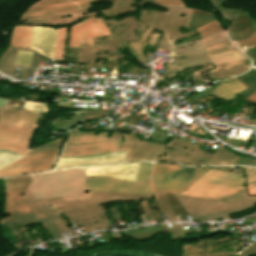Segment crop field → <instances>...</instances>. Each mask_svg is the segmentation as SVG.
I'll use <instances>...</instances> for the list:
<instances>
[{
  "label": "crop field",
  "instance_id": "1",
  "mask_svg": "<svg viewBox=\"0 0 256 256\" xmlns=\"http://www.w3.org/2000/svg\"><path fill=\"white\" fill-rule=\"evenodd\" d=\"M32 178L30 189L36 198L57 195L67 198L87 196L83 168L34 174Z\"/></svg>",
  "mask_w": 256,
  "mask_h": 256
},
{
  "label": "crop field",
  "instance_id": "2",
  "mask_svg": "<svg viewBox=\"0 0 256 256\" xmlns=\"http://www.w3.org/2000/svg\"><path fill=\"white\" fill-rule=\"evenodd\" d=\"M205 173V170L154 163L150 175V188L152 191L172 192L175 195L187 189Z\"/></svg>",
  "mask_w": 256,
  "mask_h": 256
},
{
  "label": "crop field",
  "instance_id": "3",
  "mask_svg": "<svg viewBox=\"0 0 256 256\" xmlns=\"http://www.w3.org/2000/svg\"><path fill=\"white\" fill-rule=\"evenodd\" d=\"M243 182L241 174L211 169L182 193L201 198H218L242 189Z\"/></svg>",
  "mask_w": 256,
  "mask_h": 256
},
{
  "label": "crop field",
  "instance_id": "4",
  "mask_svg": "<svg viewBox=\"0 0 256 256\" xmlns=\"http://www.w3.org/2000/svg\"><path fill=\"white\" fill-rule=\"evenodd\" d=\"M150 168L151 163H141L137 183L110 177L91 176V183L87 182V191L149 194L148 174Z\"/></svg>",
  "mask_w": 256,
  "mask_h": 256
},
{
  "label": "crop field",
  "instance_id": "5",
  "mask_svg": "<svg viewBox=\"0 0 256 256\" xmlns=\"http://www.w3.org/2000/svg\"><path fill=\"white\" fill-rule=\"evenodd\" d=\"M59 151L44 150L27 153L25 157L0 167V174L9 176L52 169Z\"/></svg>",
  "mask_w": 256,
  "mask_h": 256
},
{
  "label": "crop field",
  "instance_id": "6",
  "mask_svg": "<svg viewBox=\"0 0 256 256\" xmlns=\"http://www.w3.org/2000/svg\"><path fill=\"white\" fill-rule=\"evenodd\" d=\"M112 35L100 18H88L70 28L68 47L95 49L93 46L94 37Z\"/></svg>",
  "mask_w": 256,
  "mask_h": 256
},
{
  "label": "crop field",
  "instance_id": "7",
  "mask_svg": "<svg viewBox=\"0 0 256 256\" xmlns=\"http://www.w3.org/2000/svg\"><path fill=\"white\" fill-rule=\"evenodd\" d=\"M234 244L235 237L207 239L183 245L181 256H234Z\"/></svg>",
  "mask_w": 256,
  "mask_h": 256
},
{
  "label": "crop field",
  "instance_id": "8",
  "mask_svg": "<svg viewBox=\"0 0 256 256\" xmlns=\"http://www.w3.org/2000/svg\"><path fill=\"white\" fill-rule=\"evenodd\" d=\"M105 135L81 136L76 140L66 141L62 154L66 156L90 155L119 150L123 141L111 140L87 144L66 145V143L104 140Z\"/></svg>",
  "mask_w": 256,
  "mask_h": 256
},
{
  "label": "crop field",
  "instance_id": "9",
  "mask_svg": "<svg viewBox=\"0 0 256 256\" xmlns=\"http://www.w3.org/2000/svg\"><path fill=\"white\" fill-rule=\"evenodd\" d=\"M93 0H42L32 6L25 16L49 15L53 13L86 8Z\"/></svg>",
  "mask_w": 256,
  "mask_h": 256
},
{
  "label": "crop field",
  "instance_id": "10",
  "mask_svg": "<svg viewBox=\"0 0 256 256\" xmlns=\"http://www.w3.org/2000/svg\"><path fill=\"white\" fill-rule=\"evenodd\" d=\"M126 153L127 152H113L86 157H60L55 169L82 165L121 162L125 160Z\"/></svg>",
  "mask_w": 256,
  "mask_h": 256
},
{
  "label": "crop field",
  "instance_id": "11",
  "mask_svg": "<svg viewBox=\"0 0 256 256\" xmlns=\"http://www.w3.org/2000/svg\"><path fill=\"white\" fill-rule=\"evenodd\" d=\"M140 163L113 164L86 168L87 175L110 176L135 181Z\"/></svg>",
  "mask_w": 256,
  "mask_h": 256
},
{
  "label": "crop field",
  "instance_id": "12",
  "mask_svg": "<svg viewBox=\"0 0 256 256\" xmlns=\"http://www.w3.org/2000/svg\"><path fill=\"white\" fill-rule=\"evenodd\" d=\"M57 29L33 26L32 35L30 40V48L36 49L43 55H50L53 57ZM43 50H39V48Z\"/></svg>",
  "mask_w": 256,
  "mask_h": 256
},
{
  "label": "crop field",
  "instance_id": "13",
  "mask_svg": "<svg viewBox=\"0 0 256 256\" xmlns=\"http://www.w3.org/2000/svg\"><path fill=\"white\" fill-rule=\"evenodd\" d=\"M247 88L243 83H241L236 77L223 80L212 92L211 94L224 99L231 100L235 93Z\"/></svg>",
  "mask_w": 256,
  "mask_h": 256
},
{
  "label": "crop field",
  "instance_id": "14",
  "mask_svg": "<svg viewBox=\"0 0 256 256\" xmlns=\"http://www.w3.org/2000/svg\"><path fill=\"white\" fill-rule=\"evenodd\" d=\"M23 190L7 192L5 213L25 214L31 213L21 198Z\"/></svg>",
  "mask_w": 256,
  "mask_h": 256
},
{
  "label": "crop field",
  "instance_id": "15",
  "mask_svg": "<svg viewBox=\"0 0 256 256\" xmlns=\"http://www.w3.org/2000/svg\"><path fill=\"white\" fill-rule=\"evenodd\" d=\"M31 28V26H14L10 45L16 47H28Z\"/></svg>",
  "mask_w": 256,
  "mask_h": 256
},
{
  "label": "crop field",
  "instance_id": "16",
  "mask_svg": "<svg viewBox=\"0 0 256 256\" xmlns=\"http://www.w3.org/2000/svg\"><path fill=\"white\" fill-rule=\"evenodd\" d=\"M214 65L226 61L227 64L247 59L238 49L229 50L216 55L209 56Z\"/></svg>",
  "mask_w": 256,
  "mask_h": 256
},
{
  "label": "crop field",
  "instance_id": "17",
  "mask_svg": "<svg viewBox=\"0 0 256 256\" xmlns=\"http://www.w3.org/2000/svg\"><path fill=\"white\" fill-rule=\"evenodd\" d=\"M4 181L6 185L5 191H10V190L26 189L31 179L29 175H26V176L6 178L4 179Z\"/></svg>",
  "mask_w": 256,
  "mask_h": 256
},
{
  "label": "crop field",
  "instance_id": "18",
  "mask_svg": "<svg viewBox=\"0 0 256 256\" xmlns=\"http://www.w3.org/2000/svg\"><path fill=\"white\" fill-rule=\"evenodd\" d=\"M67 28L59 29L54 59H62Z\"/></svg>",
  "mask_w": 256,
  "mask_h": 256
},
{
  "label": "crop field",
  "instance_id": "19",
  "mask_svg": "<svg viewBox=\"0 0 256 256\" xmlns=\"http://www.w3.org/2000/svg\"><path fill=\"white\" fill-rule=\"evenodd\" d=\"M247 174V185L250 195L256 194V169L244 167Z\"/></svg>",
  "mask_w": 256,
  "mask_h": 256
},
{
  "label": "crop field",
  "instance_id": "20",
  "mask_svg": "<svg viewBox=\"0 0 256 256\" xmlns=\"http://www.w3.org/2000/svg\"><path fill=\"white\" fill-rule=\"evenodd\" d=\"M23 156L24 155L0 149V166L7 164L11 161H14L16 159H19Z\"/></svg>",
  "mask_w": 256,
  "mask_h": 256
},
{
  "label": "crop field",
  "instance_id": "21",
  "mask_svg": "<svg viewBox=\"0 0 256 256\" xmlns=\"http://www.w3.org/2000/svg\"><path fill=\"white\" fill-rule=\"evenodd\" d=\"M220 29H222V27L216 22V20H214V21H212V22H210V23H208V24H206V25H204V26H202V27H200L196 30L199 32V34L202 37H204L208 34H211L215 31H218Z\"/></svg>",
  "mask_w": 256,
  "mask_h": 256
},
{
  "label": "crop field",
  "instance_id": "22",
  "mask_svg": "<svg viewBox=\"0 0 256 256\" xmlns=\"http://www.w3.org/2000/svg\"><path fill=\"white\" fill-rule=\"evenodd\" d=\"M228 43H230V45H231V41L228 40V41L216 44L214 46L205 48L204 50H205L207 56L211 55V54L218 53V52H222V51H225V50H229L230 49V45H227Z\"/></svg>",
  "mask_w": 256,
  "mask_h": 256
},
{
  "label": "crop field",
  "instance_id": "23",
  "mask_svg": "<svg viewBox=\"0 0 256 256\" xmlns=\"http://www.w3.org/2000/svg\"><path fill=\"white\" fill-rule=\"evenodd\" d=\"M31 55H32V52L30 51H18L14 63L29 65Z\"/></svg>",
  "mask_w": 256,
  "mask_h": 256
},
{
  "label": "crop field",
  "instance_id": "24",
  "mask_svg": "<svg viewBox=\"0 0 256 256\" xmlns=\"http://www.w3.org/2000/svg\"><path fill=\"white\" fill-rule=\"evenodd\" d=\"M256 44V31L254 32L253 36L241 41H238L239 47L251 46Z\"/></svg>",
  "mask_w": 256,
  "mask_h": 256
},
{
  "label": "crop field",
  "instance_id": "25",
  "mask_svg": "<svg viewBox=\"0 0 256 256\" xmlns=\"http://www.w3.org/2000/svg\"><path fill=\"white\" fill-rule=\"evenodd\" d=\"M154 3L171 4V5H183V3L180 0H154Z\"/></svg>",
  "mask_w": 256,
  "mask_h": 256
},
{
  "label": "crop field",
  "instance_id": "26",
  "mask_svg": "<svg viewBox=\"0 0 256 256\" xmlns=\"http://www.w3.org/2000/svg\"><path fill=\"white\" fill-rule=\"evenodd\" d=\"M245 100H248L249 102L256 103V91L254 93H252L250 96H248Z\"/></svg>",
  "mask_w": 256,
  "mask_h": 256
},
{
  "label": "crop field",
  "instance_id": "27",
  "mask_svg": "<svg viewBox=\"0 0 256 256\" xmlns=\"http://www.w3.org/2000/svg\"><path fill=\"white\" fill-rule=\"evenodd\" d=\"M225 141H227V142L230 143L231 145L237 146V147H239V145L241 144V142H238V141H230V140H225Z\"/></svg>",
  "mask_w": 256,
  "mask_h": 256
}]
</instances>
